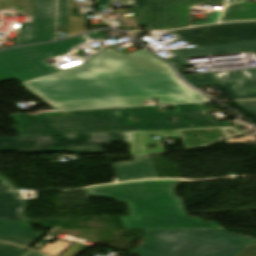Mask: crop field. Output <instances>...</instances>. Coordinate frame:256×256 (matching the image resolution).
Returning a JSON list of instances; mask_svg holds the SVG:
<instances>
[{"mask_svg": "<svg viewBox=\"0 0 256 256\" xmlns=\"http://www.w3.org/2000/svg\"><path fill=\"white\" fill-rule=\"evenodd\" d=\"M32 228L31 225L0 219V240L30 247L42 237Z\"/></svg>", "mask_w": 256, "mask_h": 256, "instance_id": "obj_15", "label": "crop field"}, {"mask_svg": "<svg viewBox=\"0 0 256 256\" xmlns=\"http://www.w3.org/2000/svg\"><path fill=\"white\" fill-rule=\"evenodd\" d=\"M227 0H148L147 30L187 27L193 4L224 6Z\"/></svg>", "mask_w": 256, "mask_h": 256, "instance_id": "obj_9", "label": "crop field"}, {"mask_svg": "<svg viewBox=\"0 0 256 256\" xmlns=\"http://www.w3.org/2000/svg\"><path fill=\"white\" fill-rule=\"evenodd\" d=\"M112 0H97L96 3H100V4H105L107 6H109V4L111 3Z\"/></svg>", "mask_w": 256, "mask_h": 256, "instance_id": "obj_30", "label": "crop field"}, {"mask_svg": "<svg viewBox=\"0 0 256 256\" xmlns=\"http://www.w3.org/2000/svg\"><path fill=\"white\" fill-rule=\"evenodd\" d=\"M26 249L0 242V256H20Z\"/></svg>", "mask_w": 256, "mask_h": 256, "instance_id": "obj_19", "label": "crop field"}, {"mask_svg": "<svg viewBox=\"0 0 256 256\" xmlns=\"http://www.w3.org/2000/svg\"><path fill=\"white\" fill-rule=\"evenodd\" d=\"M23 84L57 111L143 105L152 98L160 104L211 101L144 49L127 55L105 49L80 66Z\"/></svg>", "mask_w": 256, "mask_h": 256, "instance_id": "obj_1", "label": "crop field"}, {"mask_svg": "<svg viewBox=\"0 0 256 256\" xmlns=\"http://www.w3.org/2000/svg\"><path fill=\"white\" fill-rule=\"evenodd\" d=\"M134 2V7H147V0H120Z\"/></svg>", "mask_w": 256, "mask_h": 256, "instance_id": "obj_27", "label": "crop field"}, {"mask_svg": "<svg viewBox=\"0 0 256 256\" xmlns=\"http://www.w3.org/2000/svg\"><path fill=\"white\" fill-rule=\"evenodd\" d=\"M56 0H34V24H21L17 45L54 40Z\"/></svg>", "mask_w": 256, "mask_h": 256, "instance_id": "obj_10", "label": "crop field"}, {"mask_svg": "<svg viewBox=\"0 0 256 256\" xmlns=\"http://www.w3.org/2000/svg\"><path fill=\"white\" fill-rule=\"evenodd\" d=\"M221 13H222V11H214L211 21L195 23L194 25H201V24H206V23H217Z\"/></svg>", "mask_w": 256, "mask_h": 256, "instance_id": "obj_26", "label": "crop field"}, {"mask_svg": "<svg viewBox=\"0 0 256 256\" xmlns=\"http://www.w3.org/2000/svg\"><path fill=\"white\" fill-rule=\"evenodd\" d=\"M256 238L226 230H146L136 256H236Z\"/></svg>", "mask_w": 256, "mask_h": 256, "instance_id": "obj_4", "label": "crop field"}, {"mask_svg": "<svg viewBox=\"0 0 256 256\" xmlns=\"http://www.w3.org/2000/svg\"><path fill=\"white\" fill-rule=\"evenodd\" d=\"M119 182L157 178L148 156L135 157L134 162L113 164Z\"/></svg>", "mask_w": 256, "mask_h": 256, "instance_id": "obj_14", "label": "crop field"}, {"mask_svg": "<svg viewBox=\"0 0 256 256\" xmlns=\"http://www.w3.org/2000/svg\"><path fill=\"white\" fill-rule=\"evenodd\" d=\"M231 130L236 135L230 136L229 133H226L225 131ZM179 135H185V134H197V133H210V132H220L223 139H229L236 136H246L248 133L240 132L235 130L233 127H218V128H204V129H190V130H177Z\"/></svg>", "mask_w": 256, "mask_h": 256, "instance_id": "obj_18", "label": "crop field"}, {"mask_svg": "<svg viewBox=\"0 0 256 256\" xmlns=\"http://www.w3.org/2000/svg\"><path fill=\"white\" fill-rule=\"evenodd\" d=\"M70 0H59L58 25H67Z\"/></svg>", "mask_w": 256, "mask_h": 256, "instance_id": "obj_20", "label": "crop field"}, {"mask_svg": "<svg viewBox=\"0 0 256 256\" xmlns=\"http://www.w3.org/2000/svg\"><path fill=\"white\" fill-rule=\"evenodd\" d=\"M81 36L55 43L41 44L0 51V82L16 79L19 82L30 80L56 71L47 58L63 55L85 42Z\"/></svg>", "mask_w": 256, "mask_h": 256, "instance_id": "obj_5", "label": "crop field"}, {"mask_svg": "<svg viewBox=\"0 0 256 256\" xmlns=\"http://www.w3.org/2000/svg\"><path fill=\"white\" fill-rule=\"evenodd\" d=\"M89 38H91V39H93V40H95V39H100V38H102L97 32H93V33H91V34H88L87 35Z\"/></svg>", "mask_w": 256, "mask_h": 256, "instance_id": "obj_29", "label": "crop field"}, {"mask_svg": "<svg viewBox=\"0 0 256 256\" xmlns=\"http://www.w3.org/2000/svg\"><path fill=\"white\" fill-rule=\"evenodd\" d=\"M74 9H76V6L71 1V9L67 31L68 36L79 34L87 30V17H74Z\"/></svg>", "mask_w": 256, "mask_h": 256, "instance_id": "obj_17", "label": "crop field"}, {"mask_svg": "<svg viewBox=\"0 0 256 256\" xmlns=\"http://www.w3.org/2000/svg\"><path fill=\"white\" fill-rule=\"evenodd\" d=\"M23 256H46L42 253L28 250Z\"/></svg>", "mask_w": 256, "mask_h": 256, "instance_id": "obj_28", "label": "crop field"}, {"mask_svg": "<svg viewBox=\"0 0 256 256\" xmlns=\"http://www.w3.org/2000/svg\"><path fill=\"white\" fill-rule=\"evenodd\" d=\"M147 8H134V22L136 26L146 25Z\"/></svg>", "mask_w": 256, "mask_h": 256, "instance_id": "obj_22", "label": "crop field"}, {"mask_svg": "<svg viewBox=\"0 0 256 256\" xmlns=\"http://www.w3.org/2000/svg\"><path fill=\"white\" fill-rule=\"evenodd\" d=\"M86 135L91 137L86 139ZM121 136H125V132L63 135V139L52 136L1 138L0 152L103 154L101 145H110V141H125L120 140Z\"/></svg>", "mask_w": 256, "mask_h": 256, "instance_id": "obj_6", "label": "crop field"}, {"mask_svg": "<svg viewBox=\"0 0 256 256\" xmlns=\"http://www.w3.org/2000/svg\"><path fill=\"white\" fill-rule=\"evenodd\" d=\"M151 135H158L159 138L178 137L176 130L126 132V143L130 144L131 156L165 151L162 141L154 140ZM147 144L158 148L147 149Z\"/></svg>", "mask_w": 256, "mask_h": 256, "instance_id": "obj_12", "label": "crop field"}, {"mask_svg": "<svg viewBox=\"0 0 256 256\" xmlns=\"http://www.w3.org/2000/svg\"><path fill=\"white\" fill-rule=\"evenodd\" d=\"M61 240L53 243L47 244L41 251H44L52 256H57L61 251H63L70 243L69 242H60Z\"/></svg>", "mask_w": 256, "mask_h": 256, "instance_id": "obj_21", "label": "crop field"}, {"mask_svg": "<svg viewBox=\"0 0 256 256\" xmlns=\"http://www.w3.org/2000/svg\"><path fill=\"white\" fill-rule=\"evenodd\" d=\"M84 248H85L84 245L75 243L67 251H65L61 256H76Z\"/></svg>", "mask_w": 256, "mask_h": 256, "instance_id": "obj_24", "label": "crop field"}, {"mask_svg": "<svg viewBox=\"0 0 256 256\" xmlns=\"http://www.w3.org/2000/svg\"><path fill=\"white\" fill-rule=\"evenodd\" d=\"M179 180H148L87 188L89 196H107L133 204L121 217L125 229H222L214 222L187 217L174 187Z\"/></svg>", "mask_w": 256, "mask_h": 256, "instance_id": "obj_3", "label": "crop field"}, {"mask_svg": "<svg viewBox=\"0 0 256 256\" xmlns=\"http://www.w3.org/2000/svg\"><path fill=\"white\" fill-rule=\"evenodd\" d=\"M182 77L196 88L218 85L230 99H256V69L191 74Z\"/></svg>", "mask_w": 256, "mask_h": 256, "instance_id": "obj_7", "label": "crop field"}, {"mask_svg": "<svg viewBox=\"0 0 256 256\" xmlns=\"http://www.w3.org/2000/svg\"><path fill=\"white\" fill-rule=\"evenodd\" d=\"M256 19V3L244 2L237 5L227 7L222 21L233 20H255Z\"/></svg>", "mask_w": 256, "mask_h": 256, "instance_id": "obj_16", "label": "crop field"}, {"mask_svg": "<svg viewBox=\"0 0 256 256\" xmlns=\"http://www.w3.org/2000/svg\"><path fill=\"white\" fill-rule=\"evenodd\" d=\"M46 102V101H45ZM48 103V102H47ZM50 104V103H49ZM50 105H52V104H50ZM53 106V105H52ZM54 107V106H53Z\"/></svg>", "mask_w": 256, "mask_h": 256, "instance_id": "obj_33", "label": "crop field"}, {"mask_svg": "<svg viewBox=\"0 0 256 256\" xmlns=\"http://www.w3.org/2000/svg\"><path fill=\"white\" fill-rule=\"evenodd\" d=\"M241 51L256 53V41L241 42L212 47L176 50L173 51L174 56L173 58L169 59V61H171L176 67L191 66L193 65V63L190 60H188L185 56L227 54Z\"/></svg>", "mask_w": 256, "mask_h": 256, "instance_id": "obj_11", "label": "crop field"}, {"mask_svg": "<svg viewBox=\"0 0 256 256\" xmlns=\"http://www.w3.org/2000/svg\"><path fill=\"white\" fill-rule=\"evenodd\" d=\"M237 256H256V242L250 243L243 251Z\"/></svg>", "mask_w": 256, "mask_h": 256, "instance_id": "obj_25", "label": "crop field"}, {"mask_svg": "<svg viewBox=\"0 0 256 256\" xmlns=\"http://www.w3.org/2000/svg\"><path fill=\"white\" fill-rule=\"evenodd\" d=\"M128 207H132V208H133V206H132V205H130V204L128 205Z\"/></svg>", "mask_w": 256, "mask_h": 256, "instance_id": "obj_32", "label": "crop field"}, {"mask_svg": "<svg viewBox=\"0 0 256 256\" xmlns=\"http://www.w3.org/2000/svg\"><path fill=\"white\" fill-rule=\"evenodd\" d=\"M25 204L13 185L0 176V218L26 220L22 215Z\"/></svg>", "mask_w": 256, "mask_h": 256, "instance_id": "obj_13", "label": "crop field"}, {"mask_svg": "<svg viewBox=\"0 0 256 256\" xmlns=\"http://www.w3.org/2000/svg\"><path fill=\"white\" fill-rule=\"evenodd\" d=\"M173 106L175 111L169 112H160L157 106H149L14 117L22 136L230 126L229 122L217 123L207 113L204 103ZM130 117L139 121L134 122ZM168 118H179L181 123H171Z\"/></svg>", "mask_w": 256, "mask_h": 256, "instance_id": "obj_2", "label": "crop field"}, {"mask_svg": "<svg viewBox=\"0 0 256 256\" xmlns=\"http://www.w3.org/2000/svg\"><path fill=\"white\" fill-rule=\"evenodd\" d=\"M237 1H241V0H230L229 3H233V2H237Z\"/></svg>", "mask_w": 256, "mask_h": 256, "instance_id": "obj_31", "label": "crop field"}, {"mask_svg": "<svg viewBox=\"0 0 256 256\" xmlns=\"http://www.w3.org/2000/svg\"><path fill=\"white\" fill-rule=\"evenodd\" d=\"M181 40L193 43L195 47L256 40V22L216 25L171 31Z\"/></svg>", "mask_w": 256, "mask_h": 256, "instance_id": "obj_8", "label": "crop field"}, {"mask_svg": "<svg viewBox=\"0 0 256 256\" xmlns=\"http://www.w3.org/2000/svg\"><path fill=\"white\" fill-rule=\"evenodd\" d=\"M234 104L241 110L248 112L256 117V101H251V102L235 101Z\"/></svg>", "mask_w": 256, "mask_h": 256, "instance_id": "obj_23", "label": "crop field"}]
</instances>
